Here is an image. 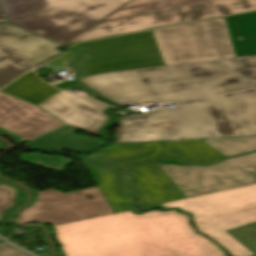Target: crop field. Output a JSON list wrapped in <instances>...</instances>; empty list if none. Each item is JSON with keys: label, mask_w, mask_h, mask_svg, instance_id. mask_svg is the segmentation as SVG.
<instances>
[{"label": "crop field", "mask_w": 256, "mask_h": 256, "mask_svg": "<svg viewBox=\"0 0 256 256\" xmlns=\"http://www.w3.org/2000/svg\"><path fill=\"white\" fill-rule=\"evenodd\" d=\"M0 17H5V15L0 10Z\"/></svg>", "instance_id": "28"}, {"label": "crop field", "mask_w": 256, "mask_h": 256, "mask_svg": "<svg viewBox=\"0 0 256 256\" xmlns=\"http://www.w3.org/2000/svg\"><path fill=\"white\" fill-rule=\"evenodd\" d=\"M227 233L256 255V223L227 231Z\"/></svg>", "instance_id": "23"}, {"label": "crop field", "mask_w": 256, "mask_h": 256, "mask_svg": "<svg viewBox=\"0 0 256 256\" xmlns=\"http://www.w3.org/2000/svg\"><path fill=\"white\" fill-rule=\"evenodd\" d=\"M114 216L142 256H182L141 215L127 211Z\"/></svg>", "instance_id": "16"}, {"label": "crop field", "mask_w": 256, "mask_h": 256, "mask_svg": "<svg viewBox=\"0 0 256 256\" xmlns=\"http://www.w3.org/2000/svg\"><path fill=\"white\" fill-rule=\"evenodd\" d=\"M203 141L224 157L256 150V137ZM158 165L186 198L256 183V153L206 167Z\"/></svg>", "instance_id": "7"}, {"label": "crop field", "mask_w": 256, "mask_h": 256, "mask_svg": "<svg viewBox=\"0 0 256 256\" xmlns=\"http://www.w3.org/2000/svg\"><path fill=\"white\" fill-rule=\"evenodd\" d=\"M37 201L22 211L19 223L40 221L51 226L113 213L97 187L63 194L39 191Z\"/></svg>", "instance_id": "11"}, {"label": "crop field", "mask_w": 256, "mask_h": 256, "mask_svg": "<svg viewBox=\"0 0 256 256\" xmlns=\"http://www.w3.org/2000/svg\"><path fill=\"white\" fill-rule=\"evenodd\" d=\"M1 184L6 185L10 188H13L15 190V194H14V203L9 206L6 210H4L1 214H0V221H3V217L4 215L10 211L11 209H13L15 206H17L19 204V197L18 194L21 191L19 187H17L16 185L9 183L7 181L1 180Z\"/></svg>", "instance_id": "26"}, {"label": "crop field", "mask_w": 256, "mask_h": 256, "mask_svg": "<svg viewBox=\"0 0 256 256\" xmlns=\"http://www.w3.org/2000/svg\"><path fill=\"white\" fill-rule=\"evenodd\" d=\"M19 156L22 163L30 164L59 173H61L64 167L71 162L56 156L50 158L35 153L19 154Z\"/></svg>", "instance_id": "22"}, {"label": "crop field", "mask_w": 256, "mask_h": 256, "mask_svg": "<svg viewBox=\"0 0 256 256\" xmlns=\"http://www.w3.org/2000/svg\"><path fill=\"white\" fill-rule=\"evenodd\" d=\"M39 107L53 114L67 125L87 131L108 140L107 129L114 118L109 115L112 107L93 99L60 91Z\"/></svg>", "instance_id": "12"}, {"label": "crop field", "mask_w": 256, "mask_h": 256, "mask_svg": "<svg viewBox=\"0 0 256 256\" xmlns=\"http://www.w3.org/2000/svg\"><path fill=\"white\" fill-rule=\"evenodd\" d=\"M54 86L59 88V89H62L64 87H67L69 89L76 88L74 80L73 81H69V82L60 83V84H57V85H54Z\"/></svg>", "instance_id": "27"}, {"label": "crop field", "mask_w": 256, "mask_h": 256, "mask_svg": "<svg viewBox=\"0 0 256 256\" xmlns=\"http://www.w3.org/2000/svg\"><path fill=\"white\" fill-rule=\"evenodd\" d=\"M74 130L64 126L43 137L40 136L41 138L28 142L27 145L30 148L42 150L65 149L70 152H85L103 144V142L95 138L75 135L73 133Z\"/></svg>", "instance_id": "17"}, {"label": "crop field", "mask_w": 256, "mask_h": 256, "mask_svg": "<svg viewBox=\"0 0 256 256\" xmlns=\"http://www.w3.org/2000/svg\"><path fill=\"white\" fill-rule=\"evenodd\" d=\"M54 228L65 256H141L113 214Z\"/></svg>", "instance_id": "10"}, {"label": "crop field", "mask_w": 256, "mask_h": 256, "mask_svg": "<svg viewBox=\"0 0 256 256\" xmlns=\"http://www.w3.org/2000/svg\"><path fill=\"white\" fill-rule=\"evenodd\" d=\"M81 161L108 203L131 198L127 193L126 175L120 170L112 165H98L83 159ZM113 178L120 183L114 184L111 180Z\"/></svg>", "instance_id": "18"}, {"label": "crop field", "mask_w": 256, "mask_h": 256, "mask_svg": "<svg viewBox=\"0 0 256 256\" xmlns=\"http://www.w3.org/2000/svg\"><path fill=\"white\" fill-rule=\"evenodd\" d=\"M1 91L36 105L59 92L42 82L33 71L28 72Z\"/></svg>", "instance_id": "20"}, {"label": "crop field", "mask_w": 256, "mask_h": 256, "mask_svg": "<svg viewBox=\"0 0 256 256\" xmlns=\"http://www.w3.org/2000/svg\"><path fill=\"white\" fill-rule=\"evenodd\" d=\"M0 44L25 57L34 67L64 53L57 50L62 45L26 32L7 21L0 22Z\"/></svg>", "instance_id": "15"}, {"label": "crop field", "mask_w": 256, "mask_h": 256, "mask_svg": "<svg viewBox=\"0 0 256 256\" xmlns=\"http://www.w3.org/2000/svg\"><path fill=\"white\" fill-rule=\"evenodd\" d=\"M62 125L41 109L0 93V133L17 145Z\"/></svg>", "instance_id": "13"}, {"label": "crop field", "mask_w": 256, "mask_h": 256, "mask_svg": "<svg viewBox=\"0 0 256 256\" xmlns=\"http://www.w3.org/2000/svg\"><path fill=\"white\" fill-rule=\"evenodd\" d=\"M192 213L198 232L220 243L231 256H255L225 231L256 222V184L161 204Z\"/></svg>", "instance_id": "6"}, {"label": "crop field", "mask_w": 256, "mask_h": 256, "mask_svg": "<svg viewBox=\"0 0 256 256\" xmlns=\"http://www.w3.org/2000/svg\"><path fill=\"white\" fill-rule=\"evenodd\" d=\"M3 146H5V145L0 142V148L3 147Z\"/></svg>", "instance_id": "29"}, {"label": "crop field", "mask_w": 256, "mask_h": 256, "mask_svg": "<svg viewBox=\"0 0 256 256\" xmlns=\"http://www.w3.org/2000/svg\"><path fill=\"white\" fill-rule=\"evenodd\" d=\"M141 215L183 256H226L215 243L194 233L185 214L155 210Z\"/></svg>", "instance_id": "14"}, {"label": "crop field", "mask_w": 256, "mask_h": 256, "mask_svg": "<svg viewBox=\"0 0 256 256\" xmlns=\"http://www.w3.org/2000/svg\"><path fill=\"white\" fill-rule=\"evenodd\" d=\"M219 153L200 139L116 144L87 157L90 161L114 163L130 175L131 194L142 210L160 207V203L184 199L155 162L210 164L222 159Z\"/></svg>", "instance_id": "3"}, {"label": "crop field", "mask_w": 256, "mask_h": 256, "mask_svg": "<svg viewBox=\"0 0 256 256\" xmlns=\"http://www.w3.org/2000/svg\"><path fill=\"white\" fill-rule=\"evenodd\" d=\"M14 190L0 184V213L13 202Z\"/></svg>", "instance_id": "24"}, {"label": "crop field", "mask_w": 256, "mask_h": 256, "mask_svg": "<svg viewBox=\"0 0 256 256\" xmlns=\"http://www.w3.org/2000/svg\"><path fill=\"white\" fill-rule=\"evenodd\" d=\"M237 57L256 55V12L226 17Z\"/></svg>", "instance_id": "19"}, {"label": "crop field", "mask_w": 256, "mask_h": 256, "mask_svg": "<svg viewBox=\"0 0 256 256\" xmlns=\"http://www.w3.org/2000/svg\"><path fill=\"white\" fill-rule=\"evenodd\" d=\"M116 143L256 136V90L180 102L120 119Z\"/></svg>", "instance_id": "2"}, {"label": "crop field", "mask_w": 256, "mask_h": 256, "mask_svg": "<svg viewBox=\"0 0 256 256\" xmlns=\"http://www.w3.org/2000/svg\"><path fill=\"white\" fill-rule=\"evenodd\" d=\"M132 0H0L8 20L66 44Z\"/></svg>", "instance_id": "5"}, {"label": "crop field", "mask_w": 256, "mask_h": 256, "mask_svg": "<svg viewBox=\"0 0 256 256\" xmlns=\"http://www.w3.org/2000/svg\"><path fill=\"white\" fill-rule=\"evenodd\" d=\"M77 81L118 106L172 103L256 88V56L119 71Z\"/></svg>", "instance_id": "1"}, {"label": "crop field", "mask_w": 256, "mask_h": 256, "mask_svg": "<svg viewBox=\"0 0 256 256\" xmlns=\"http://www.w3.org/2000/svg\"><path fill=\"white\" fill-rule=\"evenodd\" d=\"M31 69L30 64L16 53L0 47V87Z\"/></svg>", "instance_id": "21"}, {"label": "crop field", "mask_w": 256, "mask_h": 256, "mask_svg": "<svg viewBox=\"0 0 256 256\" xmlns=\"http://www.w3.org/2000/svg\"><path fill=\"white\" fill-rule=\"evenodd\" d=\"M152 32L164 65L235 57L224 18Z\"/></svg>", "instance_id": "8"}, {"label": "crop field", "mask_w": 256, "mask_h": 256, "mask_svg": "<svg viewBox=\"0 0 256 256\" xmlns=\"http://www.w3.org/2000/svg\"><path fill=\"white\" fill-rule=\"evenodd\" d=\"M77 79L119 70L164 66L152 32L78 43Z\"/></svg>", "instance_id": "9"}, {"label": "crop field", "mask_w": 256, "mask_h": 256, "mask_svg": "<svg viewBox=\"0 0 256 256\" xmlns=\"http://www.w3.org/2000/svg\"><path fill=\"white\" fill-rule=\"evenodd\" d=\"M0 256H31V255L4 242V243H0Z\"/></svg>", "instance_id": "25"}, {"label": "crop field", "mask_w": 256, "mask_h": 256, "mask_svg": "<svg viewBox=\"0 0 256 256\" xmlns=\"http://www.w3.org/2000/svg\"><path fill=\"white\" fill-rule=\"evenodd\" d=\"M256 10V0H134L72 42Z\"/></svg>", "instance_id": "4"}]
</instances>
